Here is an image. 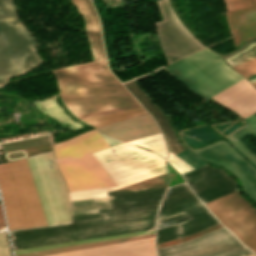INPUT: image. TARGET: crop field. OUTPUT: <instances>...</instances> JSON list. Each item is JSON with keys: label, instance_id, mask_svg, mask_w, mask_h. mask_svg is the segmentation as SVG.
<instances>
[{"label": "crop field", "instance_id": "obj_1", "mask_svg": "<svg viewBox=\"0 0 256 256\" xmlns=\"http://www.w3.org/2000/svg\"><path fill=\"white\" fill-rule=\"evenodd\" d=\"M26 159L48 226L70 223L67 191L52 151ZM26 159L0 165V192L10 231L47 226Z\"/></svg>", "mask_w": 256, "mask_h": 256}, {"label": "crop field", "instance_id": "obj_2", "mask_svg": "<svg viewBox=\"0 0 256 256\" xmlns=\"http://www.w3.org/2000/svg\"><path fill=\"white\" fill-rule=\"evenodd\" d=\"M85 22L94 61L53 70L62 102L78 119L141 106L107 70L98 18L89 0H71Z\"/></svg>", "mask_w": 256, "mask_h": 256}, {"label": "crop field", "instance_id": "obj_3", "mask_svg": "<svg viewBox=\"0 0 256 256\" xmlns=\"http://www.w3.org/2000/svg\"><path fill=\"white\" fill-rule=\"evenodd\" d=\"M135 146L124 143L92 154L118 186L72 192L69 193V200L108 197L106 192L166 172L162 157Z\"/></svg>", "mask_w": 256, "mask_h": 256}, {"label": "crop field", "instance_id": "obj_4", "mask_svg": "<svg viewBox=\"0 0 256 256\" xmlns=\"http://www.w3.org/2000/svg\"><path fill=\"white\" fill-rule=\"evenodd\" d=\"M52 147L69 192L115 185L90 155L106 149L95 130Z\"/></svg>", "mask_w": 256, "mask_h": 256}, {"label": "crop field", "instance_id": "obj_5", "mask_svg": "<svg viewBox=\"0 0 256 256\" xmlns=\"http://www.w3.org/2000/svg\"><path fill=\"white\" fill-rule=\"evenodd\" d=\"M200 97L208 100L226 87L244 79L207 48L165 67Z\"/></svg>", "mask_w": 256, "mask_h": 256}, {"label": "crop field", "instance_id": "obj_6", "mask_svg": "<svg viewBox=\"0 0 256 256\" xmlns=\"http://www.w3.org/2000/svg\"><path fill=\"white\" fill-rule=\"evenodd\" d=\"M17 17L12 0H0V31L20 69L16 72L0 40V88L9 77L29 71L40 61L34 40Z\"/></svg>", "mask_w": 256, "mask_h": 256}, {"label": "crop field", "instance_id": "obj_7", "mask_svg": "<svg viewBox=\"0 0 256 256\" xmlns=\"http://www.w3.org/2000/svg\"><path fill=\"white\" fill-rule=\"evenodd\" d=\"M205 206L256 254V208L239 191Z\"/></svg>", "mask_w": 256, "mask_h": 256}, {"label": "crop field", "instance_id": "obj_8", "mask_svg": "<svg viewBox=\"0 0 256 256\" xmlns=\"http://www.w3.org/2000/svg\"><path fill=\"white\" fill-rule=\"evenodd\" d=\"M156 251L158 256H253L224 227L200 238Z\"/></svg>", "mask_w": 256, "mask_h": 256}, {"label": "crop field", "instance_id": "obj_9", "mask_svg": "<svg viewBox=\"0 0 256 256\" xmlns=\"http://www.w3.org/2000/svg\"><path fill=\"white\" fill-rule=\"evenodd\" d=\"M163 22H153L168 63L204 48L179 22L168 1H156Z\"/></svg>", "mask_w": 256, "mask_h": 256}, {"label": "crop field", "instance_id": "obj_10", "mask_svg": "<svg viewBox=\"0 0 256 256\" xmlns=\"http://www.w3.org/2000/svg\"><path fill=\"white\" fill-rule=\"evenodd\" d=\"M199 158L223 167L235 175L242 190L256 201V170L221 140L194 152Z\"/></svg>", "mask_w": 256, "mask_h": 256}, {"label": "crop field", "instance_id": "obj_11", "mask_svg": "<svg viewBox=\"0 0 256 256\" xmlns=\"http://www.w3.org/2000/svg\"><path fill=\"white\" fill-rule=\"evenodd\" d=\"M51 256H155L154 237L69 251Z\"/></svg>", "mask_w": 256, "mask_h": 256}, {"label": "crop field", "instance_id": "obj_12", "mask_svg": "<svg viewBox=\"0 0 256 256\" xmlns=\"http://www.w3.org/2000/svg\"><path fill=\"white\" fill-rule=\"evenodd\" d=\"M211 99L237 112L242 119L256 111V90L245 79Z\"/></svg>", "mask_w": 256, "mask_h": 256}, {"label": "crop field", "instance_id": "obj_13", "mask_svg": "<svg viewBox=\"0 0 256 256\" xmlns=\"http://www.w3.org/2000/svg\"><path fill=\"white\" fill-rule=\"evenodd\" d=\"M97 129L106 135L125 142L160 132L149 114L119 121Z\"/></svg>", "mask_w": 256, "mask_h": 256}, {"label": "crop field", "instance_id": "obj_14", "mask_svg": "<svg viewBox=\"0 0 256 256\" xmlns=\"http://www.w3.org/2000/svg\"><path fill=\"white\" fill-rule=\"evenodd\" d=\"M253 6L228 12V19L235 49L256 37V0Z\"/></svg>", "mask_w": 256, "mask_h": 256}, {"label": "crop field", "instance_id": "obj_15", "mask_svg": "<svg viewBox=\"0 0 256 256\" xmlns=\"http://www.w3.org/2000/svg\"><path fill=\"white\" fill-rule=\"evenodd\" d=\"M125 85L140 101V103L148 110V112L156 119L166 138L169 150L176 154L184 149H187L184 144H178L179 141L171 125L158 109V107L153 103V101L133 81L125 83Z\"/></svg>", "mask_w": 256, "mask_h": 256}, {"label": "crop field", "instance_id": "obj_16", "mask_svg": "<svg viewBox=\"0 0 256 256\" xmlns=\"http://www.w3.org/2000/svg\"><path fill=\"white\" fill-rule=\"evenodd\" d=\"M110 208L108 198L70 202L71 215L98 212Z\"/></svg>", "mask_w": 256, "mask_h": 256}, {"label": "crop field", "instance_id": "obj_17", "mask_svg": "<svg viewBox=\"0 0 256 256\" xmlns=\"http://www.w3.org/2000/svg\"><path fill=\"white\" fill-rule=\"evenodd\" d=\"M151 236H154V234L133 236V237H127V238H121V239H115V240H109V241H103V242H96V243H89V244H82V245H75V246H68V247L56 248V249L45 250V251L29 253V254H24V255H18V256H46V255H51V254L69 251V250H75V249L87 248V247H92V246L134 240V239L151 237Z\"/></svg>", "mask_w": 256, "mask_h": 256}, {"label": "crop field", "instance_id": "obj_18", "mask_svg": "<svg viewBox=\"0 0 256 256\" xmlns=\"http://www.w3.org/2000/svg\"><path fill=\"white\" fill-rule=\"evenodd\" d=\"M147 112L143 109H135V110H130V111H124V112H119V113H114V114H109V115H104V116H100V117H95V118H91V119H87V120H83L89 124H91L92 126H94L95 128L106 125V124H110L122 119H126V118H130V117H134V116H138V115H142V114H146Z\"/></svg>", "mask_w": 256, "mask_h": 256}, {"label": "crop field", "instance_id": "obj_19", "mask_svg": "<svg viewBox=\"0 0 256 256\" xmlns=\"http://www.w3.org/2000/svg\"><path fill=\"white\" fill-rule=\"evenodd\" d=\"M255 45H256V38L247 42L245 45H243L238 50L224 56V59H225L226 63L229 64L230 66H232V65H235L237 63H240V62H243V61H246V60H249L251 58L256 57V47H254L251 50H249L247 53H245V54L241 55L240 57L234 59L235 57H237L238 55L243 53L245 50H247V49H249V48H251ZM231 60H233V61H231Z\"/></svg>", "mask_w": 256, "mask_h": 256}, {"label": "crop field", "instance_id": "obj_20", "mask_svg": "<svg viewBox=\"0 0 256 256\" xmlns=\"http://www.w3.org/2000/svg\"><path fill=\"white\" fill-rule=\"evenodd\" d=\"M154 231L155 230H150V231H144V232H138V233H132V234H124V235H117V236L102 237V238H96V239H90V240H84V241H78V242H72V243H66V244H60V245H53V246L18 250V251H14V253H15V255H17V254H23V253L34 252V251L45 250V249H51V248L62 247V246H68V245L103 241V240H109V239H115V238H121V237L133 236V235H140V234H149V233H154Z\"/></svg>", "mask_w": 256, "mask_h": 256}, {"label": "crop field", "instance_id": "obj_21", "mask_svg": "<svg viewBox=\"0 0 256 256\" xmlns=\"http://www.w3.org/2000/svg\"><path fill=\"white\" fill-rule=\"evenodd\" d=\"M132 143H135V144L141 145L145 148H148L150 150H153V151L157 152L158 154H160L164 158L166 157L165 144L162 140L160 133L132 141Z\"/></svg>", "mask_w": 256, "mask_h": 256}, {"label": "crop field", "instance_id": "obj_22", "mask_svg": "<svg viewBox=\"0 0 256 256\" xmlns=\"http://www.w3.org/2000/svg\"><path fill=\"white\" fill-rule=\"evenodd\" d=\"M250 133L256 136V131L249 126H244L236 133L226 137L237 149H239L245 156H247L255 165H256V158L252 156L236 139L240 138L241 136Z\"/></svg>", "mask_w": 256, "mask_h": 256}, {"label": "crop field", "instance_id": "obj_23", "mask_svg": "<svg viewBox=\"0 0 256 256\" xmlns=\"http://www.w3.org/2000/svg\"><path fill=\"white\" fill-rule=\"evenodd\" d=\"M232 68L241 74H243L246 78L256 74V58L240 63L238 65L232 66Z\"/></svg>", "mask_w": 256, "mask_h": 256}, {"label": "crop field", "instance_id": "obj_24", "mask_svg": "<svg viewBox=\"0 0 256 256\" xmlns=\"http://www.w3.org/2000/svg\"><path fill=\"white\" fill-rule=\"evenodd\" d=\"M176 155L194 169L206 164L203 160L199 159L195 154H193L189 149L184 150Z\"/></svg>", "mask_w": 256, "mask_h": 256}, {"label": "crop field", "instance_id": "obj_25", "mask_svg": "<svg viewBox=\"0 0 256 256\" xmlns=\"http://www.w3.org/2000/svg\"><path fill=\"white\" fill-rule=\"evenodd\" d=\"M168 162L181 174L193 170L190 166L168 151Z\"/></svg>", "mask_w": 256, "mask_h": 256}, {"label": "crop field", "instance_id": "obj_26", "mask_svg": "<svg viewBox=\"0 0 256 256\" xmlns=\"http://www.w3.org/2000/svg\"><path fill=\"white\" fill-rule=\"evenodd\" d=\"M0 256H9L3 232H0Z\"/></svg>", "mask_w": 256, "mask_h": 256}, {"label": "crop field", "instance_id": "obj_27", "mask_svg": "<svg viewBox=\"0 0 256 256\" xmlns=\"http://www.w3.org/2000/svg\"><path fill=\"white\" fill-rule=\"evenodd\" d=\"M236 9L252 5L250 0H232Z\"/></svg>", "mask_w": 256, "mask_h": 256}, {"label": "crop field", "instance_id": "obj_28", "mask_svg": "<svg viewBox=\"0 0 256 256\" xmlns=\"http://www.w3.org/2000/svg\"><path fill=\"white\" fill-rule=\"evenodd\" d=\"M248 125L253 127L256 130V116L255 115H250L249 117L243 119Z\"/></svg>", "mask_w": 256, "mask_h": 256}, {"label": "crop field", "instance_id": "obj_29", "mask_svg": "<svg viewBox=\"0 0 256 256\" xmlns=\"http://www.w3.org/2000/svg\"><path fill=\"white\" fill-rule=\"evenodd\" d=\"M226 2V6H227V10L230 11V10H235L234 6H233V3L231 0H225Z\"/></svg>", "mask_w": 256, "mask_h": 256}, {"label": "crop field", "instance_id": "obj_30", "mask_svg": "<svg viewBox=\"0 0 256 256\" xmlns=\"http://www.w3.org/2000/svg\"><path fill=\"white\" fill-rule=\"evenodd\" d=\"M3 229H5V226H4V221H3L2 212L0 208V230H3Z\"/></svg>", "mask_w": 256, "mask_h": 256}, {"label": "crop field", "instance_id": "obj_31", "mask_svg": "<svg viewBox=\"0 0 256 256\" xmlns=\"http://www.w3.org/2000/svg\"><path fill=\"white\" fill-rule=\"evenodd\" d=\"M250 82H251V83L256 82V78H255V79H253V80H250Z\"/></svg>", "mask_w": 256, "mask_h": 256}, {"label": "crop field", "instance_id": "obj_32", "mask_svg": "<svg viewBox=\"0 0 256 256\" xmlns=\"http://www.w3.org/2000/svg\"><path fill=\"white\" fill-rule=\"evenodd\" d=\"M254 77H256V75H254V76H252V77L248 78V80H250V79H252V78H254Z\"/></svg>", "mask_w": 256, "mask_h": 256}, {"label": "crop field", "instance_id": "obj_33", "mask_svg": "<svg viewBox=\"0 0 256 256\" xmlns=\"http://www.w3.org/2000/svg\"><path fill=\"white\" fill-rule=\"evenodd\" d=\"M256 85V83H253V86Z\"/></svg>", "mask_w": 256, "mask_h": 256}, {"label": "crop field", "instance_id": "obj_34", "mask_svg": "<svg viewBox=\"0 0 256 256\" xmlns=\"http://www.w3.org/2000/svg\"><path fill=\"white\" fill-rule=\"evenodd\" d=\"M253 114H255V115H256V112H255V113H253Z\"/></svg>", "mask_w": 256, "mask_h": 256}, {"label": "crop field", "instance_id": "obj_35", "mask_svg": "<svg viewBox=\"0 0 256 256\" xmlns=\"http://www.w3.org/2000/svg\"><path fill=\"white\" fill-rule=\"evenodd\" d=\"M256 88V86H254Z\"/></svg>", "mask_w": 256, "mask_h": 256}]
</instances>
